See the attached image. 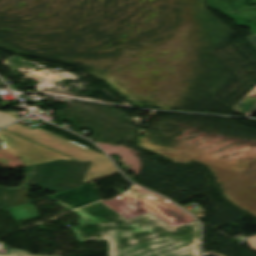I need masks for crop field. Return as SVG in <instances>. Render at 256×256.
I'll return each mask as SVG.
<instances>
[{"label":"crop field","instance_id":"d1516ede","mask_svg":"<svg viewBox=\"0 0 256 256\" xmlns=\"http://www.w3.org/2000/svg\"><path fill=\"white\" fill-rule=\"evenodd\" d=\"M248 40L254 45V47L256 48V35L252 36L250 38H248Z\"/></svg>","mask_w":256,"mask_h":256},{"label":"crop field","instance_id":"cbeb9de0","mask_svg":"<svg viewBox=\"0 0 256 256\" xmlns=\"http://www.w3.org/2000/svg\"><path fill=\"white\" fill-rule=\"evenodd\" d=\"M35 182L32 183V185H34Z\"/></svg>","mask_w":256,"mask_h":256},{"label":"crop field","instance_id":"dd49c442","mask_svg":"<svg viewBox=\"0 0 256 256\" xmlns=\"http://www.w3.org/2000/svg\"><path fill=\"white\" fill-rule=\"evenodd\" d=\"M28 189L26 186H20L15 189H6L0 187V205L13 208L28 203Z\"/></svg>","mask_w":256,"mask_h":256},{"label":"crop field","instance_id":"ac0d7876","mask_svg":"<svg viewBox=\"0 0 256 256\" xmlns=\"http://www.w3.org/2000/svg\"><path fill=\"white\" fill-rule=\"evenodd\" d=\"M4 130L26 137L68 155L75 160L92 161V166L84 180V183L118 173V170L106 156L44 131L40 128L31 130L16 123Z\"/></svg>","mask_w":256,"mask_h":256},{"label":"crop field","instance_id":"3316defc","mask_svg":"<svg viewBox=\"0 0 256 256\" xmlns=\"http://www.w3.org/2000/svg\"><path fill=\"white\" fill-rule=\"evenodd\" d=\"M0 256H39V255L29 254L22 250L11 249L7 255H0Z\"/></svg>","mask_w":256,"mask_h":256},{"label":"crop field","instance_id":"8a807250","mask_svg":"<svg viewBox=\"0 0 256 256\" xmlns=\"http://www.w3.org/2000/svg\"><path fill=\"white\" fill-rule=\"evenodd\" d=\"M80 242L108 240L109 256H200L197 222L172 229L150 213L127 220L102 203L73 211Z\"/></svg>","mask_w":256,"mask_h":256},{"label":"crop field","instance_id":"34b2d1b8","mask_svg":"<svg viewBox=\"0 0 256 256\" xmlns=\"http://www.w3.org/2000/svg\"><path fill=\"white\" fill-rule=\"evenodd\" d=\"M91 163L81 161L59 160L34 165L27 185L36 181L35 185L43 189L66 191L82 185V181Z\"/></svg>","mask_w":256,"mask_h":256},{"label":"crop field","instance_id":"e52e79f7","mask_svg":"<svg viewBox=\"0 0 256 256\" xmlns=\"http://www.w3.org/2000/svg\"><path fill=\"white\" fill-rule=\"evenodd\" d=\"M256 105V87L246 95L234 108L236 112L243 114Z\"/></svg>","mask_w":256,"mask_h":256},{"label":"crop field","instance_id":"28ad6ade","mask_svg":"<svg viewBox=\"0 0 256 256\" xmlns=\"http://www.w3.org/2000/svg\"><path fill=\"white\" fill-rule=\"evenodd\" d=\"M247 242H248L250 248H251L254 252H256V235L249 237L248 240H247Z\"/></svg>","mask_w":256,"mask_h":256},{"label":"crop field","instance_id":"22f410ed","mask_svg":"<svg viewBox=\"0 0 256 256\" xmlns=\"http://www.w3.org/2000/svg\"><path fill=\"white\" fill-rule=\"evenodd\" d=\"M256 109V107L255 108H253L251 111H249L247 114H249V113H251L252 111H254Z\"/></svg>","mask_w":256,"mask_h":256},{"label":"crop field","instance_id":"5a996713","mask_svg":"<svg viewBox=\"0 0 256 256\" xmlns=\"http://www.w3.org/2000/svg\"><path fill=\"white\" fill-rule=\"evenodd\" d=\"M15 120H18V119L9 114L0 112V127L4 126L10 122H13Z\"/></svg>","mask_w":256,"mask_h":256},{"label":"crop field","instance_id":"d8731c3e","mask_svg":"<svg viewBox=\"0 0 256 256\" xmlns=\"http://www.w3.org/2000/svg\"><path fill=\"white\" fill-rule=\"evenodd\" d=\"M11 213L19 221L27 220V219H31V218L39 216L38 211L32 205L17 208L15 210L11 211Z\"/></svg>","mask_w":256,"mask_h":256},{"label":"crop field","instance_id":"412701ff","mask_svg":"<svg viewBox=\"0 0 256 256\" xmlns=\"http://www.w3.org/2000/svg\"><path fill=\"white\" fill-rule=\"evenodd\" d=\"M0 139L4 150L20 158L26 166L59 159L72 160L3 130L0 131Z\"/></svg>","mask_w":256,"mask_h":256},{"label":"crop field","instance_id":"f4fd0767","mask_svg":"<svg viewBox=\"0 0 256 256\" xmlns=\"http://www.w3.org/2000/svg\"><path fill=\"white\" fill-rule=\"evenodd\" d=\"M51 199L57 201V205L69 210L99 201L98 190L95 184H90L75 190H71Z\"/></svg>","mask_w":256,"mask_h":256}]
</instances>
